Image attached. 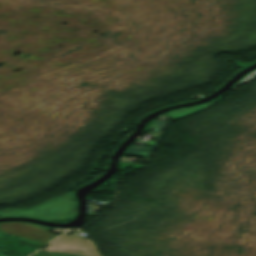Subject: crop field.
Returning a JSON list of instances; mask_svg holds the SVG:
<instances>
[{"label": "crop field", "instance_id": "crop-field-1", "mask_svg": "<svg viewBox=\"0 0 256 256\" xmlns=\"http://www.w3.org/2000/svg\"><path fill=\"white\" fill-rule=\"evenodd\" d=\"M73 192H68L57 198L37 205L28 210L7 209L0 211V216L34 217L49 221L73 218L76 211V202Z\"/></svg>", "mask_w": 256, "mask_h": 256}, {"label": "crop field", "instance_id": "crop-field-2", "mask_svg": "<svg viewBox=\"0 0 256 256\" xmlns=\"http://www.w3.org/2000/svg\"><path fill=\"white\" fill-rule=\"evenodd\" d=\"M49 227L23 222H10L0 224V232L18 236L30 243L44 245L57 235L47 233Z\"/></svg>", "mask_w": 256, "mask_h": 256}, {"label": "crop field", "instance_id": "crop-field-3", "mask_svg": "<svg viewBox=\"0 0 256 256\" xmlns=\"http://www.w3.org/2000/svg\"><path fill=\"white\" fill-rule=\"evenodd\" d=\"M219 97H217L216 99L210 101L207 104H203V105H199V106L186 107V108H181V109H176V110L170 111V112L165 113V114L170 116V117H172V118L180 117V116H183L185 114L191 113L193 111H196V110H199V109L205 107L206 105H208V104L212 103L213 101L217 100Z\"/></svg>", "mask_w": 256, "mask_h": 256}, {"label": "crop field", "instance_id": "crop-field-4", "mask_svg": "<svg viewBox=\"0 0 256 256\" xmlns=\"http://www.w3.org/2000/svg\"><path fill=\"white\" fill-rule=\"evenodd\" d=\"M256 75V70L255 71H253L252 73H250V74H248L246 77H244L242 80H240L238 83H236L235 85H237V84H239V83H241V82H243V81H245V80H247V79H249V78H251V77H253V76H255ZM234 86V85H233Z\"/></svg>", "mask_w": 256, "mask_h": 256}, {"label": "crop field", "instance_id": "crop-field-5", "mask_svg": "<svg viewBox=\"0 0 256 256\" xmlns=\"http://www.w3.org/2000/svg\"><path fill=\"white\" fill-rule=\"evenodd\" d=\"M0 236H2V234H0ZM0 256H4V255L0 253Z\"/></svg>", "mask_w": 256, "mask_h": 256}]
</instances>
